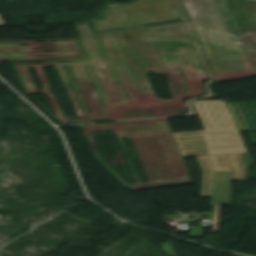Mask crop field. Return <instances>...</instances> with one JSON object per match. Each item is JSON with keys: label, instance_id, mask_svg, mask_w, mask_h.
I'll return each mask as SVG.
<instances>
[{"label": "crop field", "instance_id": "obj_3", "mask_svg": "<svg viewBox=\"0 0 256 256\" xmlns=\"http://www.w3.org/2000/svg\"><path fill=\"white\" fill-rule=\"evenodd\" d=\"M221 206H214V213H207V214H200V215H191L193 217L192 220H198V219H210L213 220V228L212 231L213 232H217V228H218V218H219V210H220ZM202 216H208V218H202ZM189 219V217L187 218V222L192 221Z\"/></svg>", "mask_w": 256, "mask_h": 256}, {"label": "crop field", "instance_id": "obj_5", "mask_svg": "<svg viewBox=\"0 0 256 256\" xmlns=\"http://www.w3.org/2000/svg\"><path fill=\"white\" fill-rule=\"evenodd\" d=\"M177 215H172L171 217L176 218V219H183L185 214L176 212Z\"/></svg>", "mask_w": 256, "mask_h": 256}, {"label": "crop field", "instance_id": "obj_7", "mask_svg": "<svg viewBox=\"0 0 256 256\" xmlns=\"http://www.w3.org/2000/svg\"><path fill=\"white\" fill-rule=\"evenodd\" d=\"M0 24H4V22H3L2 18H1V16H0Z\"/></svg>", "mask_w": 256, "mask_h": 256}, {"label": "crop field", "instance_id": "obj_2", "mask_svg": "<svg viewBox=\"0 0 256 256\" xmlns=\"http://www.w3.org/2000/svg\"><path fill=\"white\" fill-rule=\"evenodd\" d=\"M204 172L201 197L211 196L213 170L209 164L207 157L197 158Z\"/></svg>", "mask_w": 256, "mask_h": 256}, {"label": "crop field", "instance_id": "obj_4", "mask_svg": "<svg viewBox=\"0 0 256 256\" xmlns=\"http://www.w3.org/2000/svg\"><path fill=\"white\" fill-rule=\"evenodd\" d=\"M248 102H249V104H250V106H251V108L253 110V113H254V115L256 117V105H255L254 101H248ZM242 104H243L244 109L246 111V114H247V116L249 118V121H250L251 126L253 128V131H256V123L254 121V118H253V116L251 114V111L249 109V106H248L247 102H242Z\"/></svg>", "mask_w": 256, "mask_h": 256}, {"label": "crop field", "instance_id": "obj_6", "mask_svg": "<svg viewBox=\"0 0 256 256\" xmlns=\"http://www.w3.org/2000/svg\"><path fill=\"white\" fill-rule=\"evenodd\" d=\"M249 133H250L253 145H256V136H255L254 132H249Z\"/></svg>", "mask_w": 256, "mask_h": 256}, {"label": "crop field", "instance_id": "obj_1", "mask_svg": "<svg viewBox=\"0 0 256 256\" xmlns=\"http://www.w3.org/2000/svg\"><path fill=\"white\" fill-rule=\"evenodd\" d=\"M233 169L232 181H244L245 168L250 165V161L247 154H235L227 155ZM215 169V168H214ZM216 175V170H215Z\"/></svg>", "mask_w": 256, "mask_h": 256}]
</instances>
